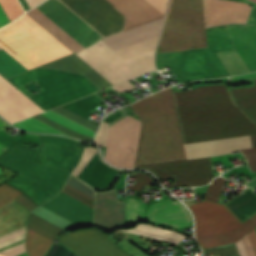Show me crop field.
<instances>
[{"mask_svg":"<svg viewBox=\"0 0 256 256\" xmlns=\"http://www.w3.org/2000/svg\"><path fill=\"white\" fill-rule=\"evenodd\" d=\"M60 1L104 38L123 31L126 17L125 30L162 17V15L164 16L168 4V0H145L161 15L144 0H107L125 17L105 0ZM60 1L47 0L37 8L85 48L103 38ZM37 8L35 7L31 10L79 51L84 49ZM162 22L163 17L102 41L116 51L122 47L158 35Z\"/></svg>","mask_w":256,"mask_h":256,"instance_id":"8a807250","label":"crop field"},{"mask_svg":"<svg viewBox=\"0 0 256 256\" xmlns=\"http://www.w3.org/2000/svg\"><path fill=\"white\" fill-rule=\"evenodd\" d=\"M172 93L184 144L256 134V123L231 101L226 85Z\"/></svg>","mask_w":256,"mask_h":256,"instance_id":"ac0d7876","label":"crop field"},{"mask_svg":"<svg viewBox=\"0 0 256 256\" xmlns=\"http://www.w3.org/2000/svg\"><path fill=\"white\" fill-rule=\"evenodd\" d=\"M226 26L249 72L256 71V25ZM226 26L206 29L208 48L156 54L157 69L169 66L180 83L229 75L215 53L235 50Z\"/></svg>","mask_w":256,"mask_h":256,"instance_id":"34b2d1b8","label":"crop field"},{"mask_svg":"<svg viewBox=\"0 0 256 256\" xmlns=\"http://www.w3.org/2000/svg\"><path fill=\"white\" fill-rule=\"evenodd\" d=\"M206 28L226 23H245L251 6L203 0ZM202 0H171L158 52L207 47Z\"/></svg>","mask_w":256,"mask_h":256,"instance_id":"412701ff","label":"crop field"},{"mask_svg":"<svg viewBox=\"0 0 256 256\" xmlns=\"http://www.w3.org/2000/svg\"><path fill=\"white\" fill-rule=\"evenodd\" d=\"M132 108L142 124L135 166L186 159L170 88Z\"/></svg>","mask_w":256,"mask_h":256,"instance_id":"f4fd0767","label":"crop field"},{"mask_svg":"<svg viewBox=\"0 0 256 256\" xmlns=\"http://www.w3.org/2000/svg\"><path fill=\"white\" fill-rule=\"evenodd\" d=\"M256 135L228 138L184 145L186 157L197 158L216 156L241 149ZM247 160L252 171H256V139L239 150ZM211 157L190 159L180 162L156 164L134 168H143L151 171L159 180L174 178L172 186L186 185V187L205 185L212 178L210 166Z\"/></svg>","mask_w":256,"mask_h":256,"instance_id":"dd49c442","label":"crop field"},{"mask_svg":"<svg viewBox=\"0 0 256 256\" xmlns=\"http://www.w3.org/2000/svg\"><path fill=\"white\" fill-rule=\"evenodd\" d=\"M224 183L225 179L216 177L204 198L216 202ZM205 199L189 206L195 217L196 237L202 249L237 242L256 227V215L242 223L224 204Z\"/></svg>","mask_w":256,"mask_h":256,"instance_id":"e52e79f7","label":"crop field"},{"mask_svg":"<svg viewBox=\"0 0 256 256\" xmlns=\"http://www.w3.org/2000/svg\"><path fill=\"white\" fill-rule=\"evenodd\" d=\"M35 151L17 142L0 156V165L19 173L5 183L22 192L38 206L61 190L71 172L32 162Z\"/></svg>","mask_w":256,"mask_h":256,"instance_id":"d8731c3e","label":"crop field"},{"mask_svg":"<svg viewBox=\"0 0 256 256\" xmlns=\"http://www.w3.org/2000/svg\"><path fill=\"white\" fill-rule=\"evenodd\" d=\"M0 46L28 69L72 53L25 13L0 29Z\"/></svg>","mask_w":256,"mask_h":256,"instance_id":"5a996713","label":"crop field"},{"mask_svg":"<svg viewBox=\"0 0 256 256\" xmlns=\"http://www.w3.org/2000/svg\"><path fill=\"white\" fill-rule=\"evenodd\" d=\"M31 80L46 90L28 97L43 110L100 91L85 76L46 68H36L8 79L16 87Z\"/></svg>","mask_w":256,"mask_h":256,"instance_id":"3316defc","label":"crop field"},{"mask_svg":"<svg viewBox=\"0 0 256 256\" xmlns=\"http://www.w3.org/2000/svg\"><path fill=\"white\" fill-rule=\"evenodd\" d=\"M154 50L124 61L100 40L76 55L115 85L156 70Z\"/></svg>","mask_w":256,"mask_h":256,"instance_id":"28ad6ade","label":"crop field"},{"mask_svg":"<svg viewBox=\"0 0 256 256\" xmlns=\"http://www.w3.org/2000/svg\"><path fill=\"white\" fill-rule=\"evenodd\" d=\"M127 115L119 117L110 126ZM141 124L138 120L126 117L109 128L105 158L121 168H133Z\"/></svg>","mask_w":256,"mask_h":256,"instance_id":"d1516ede","label":"crop field"},{"mask_svg":"<svg viewBox=\"0 0 256 256\" xmlns=\"http://www.w3.org/2000/svg\"><path fill=\"white\" fill-rule=\"evenodd\" d=\"M142 200L126 198L127 224L141 219L144 215V204ZM181 203V202H180ZM178 201L170 200L150 206L144 219L155 223L175 227L177 229L191 225L192 216L187 208Z\"/></svg>","mask_w":256,"mask_h":256,"instance_id":"22f410ed","label":"crop field"},{"mask_svg":"<svg viewBox=\"0 0 256 256\" xmlns=\"http://www.w3.org/2000/svg\"><path fill=\"white\" fill-rule=\"evenodd\" d=\"M40 147L35 162L71 171L78 163L83 147L55 136H39Z\"/></svg>","mask_w":256,"mask_h":256,"instance_id":"cbeb9de0","label":"crop field"},{"mask_svg":"<svg viewBox=\"0 0 256 256\" xmlns=\"http://www.w3.org/2000/svg\"><path fill=\"white\" fill-rule=\"evenodd\" d=\"M57 241L81 256H129L95 228L71 232Z\"/></svg>","mask_w":256,"mask_h":256,"instance_id":"5142ce71","label":"crop field"},{"mask_svg":"<svg viewBox=\"0 0 256 256\" xmlns=\"http://www.w3.org/2000/svg\"><path fill=\"white\" fill-rule=\"evenodd\" d=\"M43 111L0 76V115L11 123Z\"/></svg>","mask_w":256,"mask_h":256,"instance_id":"d9b57169","label":"crop field"},{"mask_svg":"<svg viewBox=\"0 0 256 256\" xmlns=\"http://www.w3.org/2000/svg\"><path fill=\"white\" fill-rule=\"evenodd\" d=\"M61 192L41 206L80 226H84V224L90 219L96 210Z\"/></svg>","mask_w":256,"mask_h":256,"instance_id":"733c2abd","label":"crop field"},{"mask_svg":"<svg viewBox=\"0 0 256 256\" xmlns=\"http://www.w3.org/2000/svg\"><path fill=\"white\" fill-rule=\"evenodd\" d=\"M42 66L59 68V69L82 73L85 76H87L89 79H91L101 89L111 86L99 74H97L92 68H90L87 64H85L82 60H80L74 54Z\"/></svg>","mask_w":256,"mask_h":256,"instance_id":"4a817a6b","label":"crop field"},{"mask_svg":"<svg viewBox=\"0 0 256 256\" xmlns=\"http://www.w3.org/2000/svg\"><path fill=\"white\" fill-rule=\"evenodd\" d=\"M256 187V179L245 184ZM244 185V186H245ZM242 222L256 214V194L247 188L225 204ZM249 216V217H247Z\"/></svg>","mask_w":256,"mask_h":256,"instance_id":"bc2a9ffb","label":"crop field"},{"mask_svg":"<svg viewBox=\"0 0 256 256\" xmlns=\"http://www.w3.org/2000/svg\"><path fill=\"white\" fill-rule=\"evenodd\" d=\"M233 81L256 78V73L232 77ZM256 85V79H254ZM233 101L256 122V87L228 90Z\"/></svg>","mask_w":256,"mask_h":256,"instance_id":"214f88e0","label":"crop field"},{"mask_svg":"<svg viewBox=\"0 0 256 256\" xmlns=\"http://www.w3.org/2000/svg\"><path fill=\"white\" fill-rule=\"evenodd\" d=\"M144 237H149L169 243L176 244L178 241L185 238V236L177 233L170 232L168 230L148 226V225H140L132 230L124 231Z\"/></svg>","mask_w":256,"mask_h":256,"instance_id":"92a150f3","label":"crop field"},{"mask_svg":"<svg viewBox=\"0 0 256 256\" xmlns=\"http://www.w3.org/2000/svg\"><path fill=\"white\" fill-rule=\"evenodd\" d=\"M53 241L27 229L26 251L28 256H43Z\"/></svg>","mask_w":256,"mask_h":256,"instance_id":"dafd665d","label":"crop field"},{"mask_svg":"<svg viewBox=\"0 0 256 256\" xmlns=\"http://www.w3.org/2000/svg\"><path fill=\"white\" fill-rule=\"evenodd\" d=\"M102 103L104 102L99 97H97L95 94H92L62 107L87 118L92 114L89 111Z\"/></svg>","mask_w":256,"mask_h":256,"instance_id":"00972430","label":"crop field"},{"mask_svg":"<svg viewBox=\"0 0 256 256\" xmlns=\"http://www.w3.org/2000/svg\"><path fill=\"white\" fill-rule=\"evenodd\" d=\"M27 227L52 240L65 231L33 214L29 216Z\"/></svg>","mask_w":256,"mask_h":256,"instance_id":"a9b5d70f","label":"crop field"},{"mask_svg":"<svg viewBox=\"0 0 256 256\" xmlns=\"http://www.w3.org/2000/svg\"><path fill=\"white\" fill-rule=\"evenodd\" d=\"M217 55L219 56L220 60L222 61L230 75L248 72V68L246 69L237 51L221 52L217 53Z\"/></svg>","mask_w":256,"mask_h":256,"instance_id":"4177f3b9","label":"crop field"},{"mask_svg":"<svg viewBox=\"0 0 256 256\" xmlns=\"http://www.w3.org/2000/svg\"><path fill=\"white\" fill-rule=\"evenodd\" d=\"M6 52V51H5ZM3 49L0 50V74L5 78L27 71L11 56L5 53Z\"/></svg>","mask_w":256,"mask_h":256,"instance_id":"730fd06b","label":"crop field"},{"mask_svg":"<svg viewBox=\"0 0 256 256\" xmlns=\"http://www.w3.org/2000/svg\"><path fill=\"white\" fill-rule=\"evenodd\" d=\"M41 115H43V116L61 124V125L69 128L73 131H76L78 133H81V134H84V135H87V136L95 137V134H96L95 132H93V131H91V130H89V129H87V128H85V127H83V126H81V125H79V124H77V123H75V122H73V121L55 113V112H53V111H51V110H49V111H47V112H45Z\"/></svg>","mask_w":256,"mask_h":256,"instance_id":"eef30255","label":"crop field"},{"mask_svg":"<svg viewBox=\"0 0 256 256\" xmlns=\"http://www.w3.org/2000/svg\"><path fill=\"white\" fill-rule=\"evenodd\" d=\"M13 125L29 131H35V132H43V133H53V134H63L48 125L30 117L25 120L19 121L17 123H14Z\"/></svg>","mask_w":256,"mask_h":256,"instance_id":"ae1a2a85","label":"crop field"},{"mask_svg":"<svg viewBox=\"0 0 256 256\" xmlns=\"http://www.w3.org/2000/svg\"><path fill=\"white\" fill-rule=\"evenodd\" d=\"M54 111L63 115V116H65V117H67V118H69V119H71V120H73V121H75V122H77V123H79V124H81V125H83V126H85V127H87V128H89V129H91V130H93V131H96L98 129L99 125H97V124H95V123H93V122L75 114V113H72V112H70V111H68V110H66L62 107L55 108Z\"/></svg>","mask_w":256,"mask_h":256,"instance_id":"d3111659","label":"crop field"},{"mask_svg":"<svg viewBox=\"0 0 256 256\" xmlns=\"http://www.w3.org/2000/svg\"><path fill=\"white\" fill-rule=\"evenodd\" d=\"M0 4L4 8L10 21L23 13L17 0H0Z\"/></svg>","mask_w":256,"mask_h":256,"instance_id":"750c4746","label":"crop field"},{"mask_svg":"<svg viewBox=\"0 0 256 256\" xmlns=\"http://www.w3.org/2000/svg\"><path fill=\"white\" fill-rule=\"evenodd\" d=\"M34 118H36V119H38V120H40V121H42V122H44V123L54 127V128H56V129L66 133V134H68L70 136H73V137H76V138H80V139H84V140H87L89 142H91L92 139H93L91 137H87V136L78 134L76 132H73V131H71V130H69V129H67V128H65V127H63V126H61V125H59V124H57V123H55L53 121H50V120H48V119H46V118H44V117H42L40 115L34 116Z\"/></svg>","mask_w":256,"mask_h":256,"instance_id":"bd1437ed","label":"crop field"},{"mask_svg":"<svg viewBox=\"0 0 256 256\" xmlns=\"http://www.w3.org/2000/svg\"><path fill=\"white\" fill-rule=\"evenodd\" d=\"M27 14L30 15L34 20H36L39 24H41L43 27H45L50 33H52L58 40H60L62 43H64L67 47H69L72 51L75 53L78 52L77 49H75L70 43H68L63 37H61L56 31H54L49 25H47L42 19H40L35 13H33L31 10L27 11Z\"/></svg>","mask_w":256,"mask_h":256,"instance_id":"1d83c4d3","label":"crop field"},{"mask_svg":"<svg viewBox=\"0 0 256 256\" xmlns=\"http://www.w3.org/2000/svg\"><path fill=\"white\" fill-rule=\"evenodd\" d=\"M44 256H78L60 243H54Z\"/></svg>","mask_w":256,"mask_h":256,"instance_id":"120bbe31","label":"crop field"},{"mask_svg":"<svg viewBox=\"0 0 256 256\" xmlns=\"http://www.w3.org/2000/svg\"><path fill=\"white\" fill-rule=\"evenodd\" d=\"M209 252H214L215 255H218V256H239L236 245H233L228 248L203 250V254L210 255Z\"/></svg>","mask_w":256,"mask_h":256,"instance_id":"d32e631a","label":"crop field"},{"mask_svg":"<svg viewBox=\"0 0 256 256\" xmlns=\"http://www.w3.org/2000/svg\"><path fill=\"white\" fill-rule=\"evenodd\" d=\"M97 150L92 147H86L84 150L83 157L79 163V165L73 170L72 174L78 175V173L82 170V168L86 165V163L91 159V157L95 154ZM84 169V168H83ZM80 174V173H79Z\"/></svg>","mask_w":256,"mask_h":256,"instance_id":"5866460e","label":"crop field"},{"mask_svg":"<svg viewBox=\"0 0 256 256\" xmlns=\"http://www.w3.org/2000/svg\"><path fill=\"white\" fill-rule=\"evenodd\" d=\"M109 124L106 122H102L98 135L94 141V143L98 146H106L107 142V133H108Z\"/></svg>","mask_w":256,"mask_h":256,"instance_id":"028f5c9d","label":"crop field"},{"mask_svg":"<svg viewBox=\"0 0 256 256\" xmlns=\"http://www.w3.org/2000/svg\"><path fill=\"white\" fill-rule=\"evenodd\" d=\"M25 251V247H24V241L16 244L12 247H9L5 250L0 251L1 254H5V255H10V256H14L16 254L22 253Z\"/></svg>","mask_w":256,"mask_h":256,"instance_id":"e1f06a70","label":"crop field"},{"mask_svg":"<svg viewBox=\"0 0 256 256\" xmlns=\"http://www.w3.org/2000/svg\"><path fill=\"white\" fill-rule=\"evenodd\" d=\"M144 184H151L150 177H148L147 175L138 174L137 175L136 186H127V189L140 191L142 185H144Z\"/></svg>","mask_w":256,"mask_h":256,"instance_id":"0bd39190","label":"crop field"},{"mask_svg":"<svg viewBox=\"0 0 256 256\" xmlns=\"http://www.w3.org/2000/svg\"><path fill=\"white\" fill-rule=\"evenodd\" d=\"M113 88L114 90L118 91L120 94L134 88L133 85H131L130 83L126 82V83H123V84H119V85H116V86H113L111 87Z\"/></svg>","mask_w":256,"mask_h":256,"instance_id":"b80d0937","label":"crop field"},{"mask_svg":"<svg viewBox=\"0 0 256 256\" xmlns=\"http://www.w3.org/2000/svg\"><path fill=\"white\" fill-rule=\"evenodd\" d=\"M246 253L248 256H254L248 236L246 235L245 237L242 238Z\"/></svg>","mask_w":256,"mask_h":256,"instance_id":"c035e120","label":"crop field"},{"mask_svg":"<svg viewBox=\"0 0 256 256\" xmlns=\"http://www.w3.org/2000/svg\"><path fill=\"white\" fill-rule=\"evenodd\" d=\"M248 236H249L250 242L252 244V247H253V250H254V253L256 256V230L254 229L253 231H251L248 234Z\"/></svg>","mask_w":256,"mask_h":256,"instance_id":"c21b1889","label":"crop field"},{"mask_svg":"<svg viewBox=\"0 0 256 256\" xmlns=\"http://www.w3.org/2000/svg\"><path fill=\"white\" fill-rule=\"evenodd\" d=\"M10 21L7 18L5 12L3 11L2 7L0 6V27L8 24Z\"/></svg>","mask_w":256,"mask_h":256,"instance_id":"03da06ac","label":"crop field"},{"mask_svg":"<svg viewBox=\"0 0 256 256\" xmlns=\"http://www.w3.org/2000/svg\"><path fill=\"white\" fill-rule=\"evenodd\" d=\"M119 112H120V110H118ZM119 112H117V113H115V114H113V115H108L105 119H104V121H106V122H110L111 120H113V119H115L116 117H118L119 115H121Z\"/></svg>","mask_w":256,"mask_h":256,"instance_id":"b54c1fbb","label":"crop field"},{"mask_svg":"<svg viewBox=\"0 0 256 256\" xmlns=\"http://www.w3.org/2000/svg\"><path fill=\"white\" fill-rule=\"evenodd\" d=\"M43 1H44V0H27V2H28V4H29L30 8L33 7V6H35V5H37V4H39V3H41V2H43Z\"/></svg>","mask_w":256,"mask_h":256,"instance_id":"5d738f31","label":"crop field"},{"mask_svg":"<svg viewBox=\"0 0 256 256\" xmlns=\"http://www.w3.org/2000/svg\"><path fill=\"white\" fill-rule=\"evenodd\" d=\"M2 119V118H1ZM0 119V130L9 126V124L5 123L3 120Z\"/></svg>","mask_w":256,"mask_h":256,"instance_id":"d23c7cc5","label":"crop field"},{"mask_svg":"<svg viewBox=\"0 0 256 256\" xmlns=\"http://www.w3.org/2000/svg\"><path fill=\"white\" fill-rule=\"evenodd\" d=\"M250 19L256 21V7L254 8L253 13H252V16H251Z\"/></svg>","mask_w":256,"mask_h":256,"instance_id":"425ffa30","label":"crop field"},{"mask_svg":"<svg viewBox=\"0 0 256 256\" xmlns=\"http://www.w3.org/2000/svg\"><path fill=\"white\" fill-rule=\"evenodd\" d=\"M97 94H98L99 96H101V97H102L103 99H105V100H107V99L110 98V97L108 98V97H106V96L103 97L102 95L104 94V92H98Z\"/></svg>","mask_w":256,"mask_h":256,"instance_id":"25e5ab78","label":"crop field"},{"mask_svg":"<svg viewBox=\"0 0 256 256\" xmlns=\"http://www.w3.org/2000/svg\"><path fill=\"white\" fill-rule=\"evenodd\" d=\"M5 149H7V148H5L4 146H2V145L0 144V154H1Z\"/></svg>","mask_w":256,"mask_h":256,"instance_id":"73cf0c24","label":"crop field"},{"mask_svg":"<svg viewBox=\"0 0 256 256\" xmlns=\"http://www.w3.org/2000/svg\"><path fill=\"white\" fill-rule=\"evenodd\" d=\"M0 256H2V255H0Z\"/></svg>","mask_w":256,"mask_h":256,"instance_id":"89e229c0","label":"crop field"},{"mask_svg":"<svg viewBox=\"0 0 256 256\" xmlns=\"http://www.w3.org/2000/svg\"><path fill=\"white\" fill-rule=\"evenodd\" d=\"M0 49H1V47H0Z\"/></svg>","mask_w":256,"mask_h":256,"instance_id":"1f2cbd36","label":"crop field"}]
</instances>
